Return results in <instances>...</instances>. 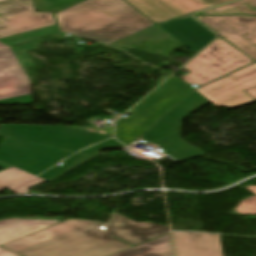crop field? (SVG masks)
I'll use <instances>...</instances> for the list:
<instances>
[{
    "label": "crop field",
    "instance_id": "d1516ede",
    "mask_svg": "<svg viewBox=\"0 0 256 256\" xmlns=\"http://www.w3.org/2000/svg\"><path fill=\"white\" fill-rule=\"evenodd\" d=\"M158 26L195 54L215 38V34L189 16Z\"/></svg>",
    "mask_w": 256,
    "mask_h": 256
},
{
    "label": "crop field",
    "instance_id": "214f88e0",
    "mask_svg": "<svg viewBox=\"0 0 256 256\" xmlns=\"http://www.w3.org/2000/svg\"><path fill=\"white\" fill-rule=\"evenodd\" d=\"M58 32H59L58 27L55 26V27H51V28H47V29H43V30H39V31H35V32L7 38V39H3L0 41L11 46V45L31 41V40L41 39V37H43V36H47V35L58 33Z\"/></svg>",
    "mask_w": 256,
    "mask_h": 256
},
{
    "label": "crop field",
    "instance_id": "f4fd0767",
    "mask_svg": "<svg viewBox=\"0 0 256 256\" xmlns=\"http://www.w3.org/2000/svg\"><path fill=\"white\" fill-rule=\"evenodd\" d=\"M210 103L197 92H192L172 111L149 128L141 140L160 147L171 158L182 162L191 158L204 155L188 143L180 139L179 130L181 119L199 108Z\"/></svg>",
    "mask_w": 256,
    "mask_h": 256
},
{
    "label": "crop field",
    "instance_id": "ac0d7876",
    "mask_svg": "<svg viewBox=\"0 0 256 256\" xmlns=\"http://www.w3.org/2000/svg\"><path fill=\"white\" fill-rule=\"evenodd\" d=\"M0 160L38 175L73 153L110 137L70 126L0 125Z\"/></svg>",
    "mask_w": 256,
    "mask_h": 256
},
{
    "label": "crop field",
    "instance_id": "3316defc",
    "mask_svg": "<svg viewBox=\"0 0 256 256\" xmlns=\"http://www.w3.org/2000/svg\"><path fill=\"white\" fill-rule=\"evenodd\" d=\"M0 104H32L30 81L11 48L0 51Z\"/></svg>",
    "mask_w": 256,
    "mask_h": 256
},
{
    "label": "crop field",
    "instance_id": "4a817a6b",
    "mask_svg": "<svg viewBox=\"0 0 256 256\" xmlns=\"http://www.w3.org/2000/svg\"><path fill=\"white\" fill-rule=\"evenodd\" d=\"M91 157L83 156L75 154L68 159L60 162L63 165L60 167L54 166L51 169L47 170L43 174L39 175L38 177L51 182L56 178L62 176L63 174L67 173L68 171L72 170L73 168L77 167L78 165L84 163L85 161L89 160Z\"/></svg>",
    "mask_w": 256,
    "mask_h": 256
},
{
    "label": "crop field",
    "instance_id": "a9b5d70f",
    "mask_svg": "<svg viewBox=\"0 0 256 256\" xmlns=\"http://www.w3.org/2000/svg\"><path fill=\"white\" fill-rule=\"evenodd\" d=\"M103 147H124L122 144H120L119 142H117L115 139H109L107 141H104L102 143H99L97 145H94L90 148H87L81 152L78 153H82V154H86V155H94L99 149L103 148Z\"/></svg>",
    "mask_w": 256,
    "mask_h": 256
},
{
    "label": "crop field",
    "instance_id": "34b2d1b8",
    "mask_svg": "<svg viewBox=\"0 0 256 256\" xmlns=\"http://www.w3.org/2000/svg\"><path fill=\"white\" fill-rule=\"evenodd\" d=\"M55 16L61 33L107 45L154 25L122 0H85Z\"/></svg>",
    "mask_w": 256,
    "mask_h": 256
},
{
    "label": "crop field",
    "instance_id": "4177f3b9",
    "mask_svg": "<svg viewBox=\"0 0 256 256\" xmlns=\"http://www.w3.org/2000/svg\"><path fill=\"white\" fill-rule=\"evenodd\" d=\"M45 181L35 177L31 180H28L26 182L20 183L18 185H15L13 187L8 188L9 190L15 192L16 194H22V193H28L27 187L29 186H36L40 183H43Z\"/></svg>",
    "mask_w": 256,
    "mask_h": 256
},
{
    "label": "crop field",
    "instance_id": "bc2a9ffb",
    "mask_svg": "<svg viewBox=\"0 0 256 256\" xmlns=\"http://www.w3.org/2000/svg\"><path fill=\"white\" fill-rule=\"evenodd\" d=\"M0 168L4 169L0 171V190L8 186L24 181L26 179L34 177L31 174L23 172L9 164L0 161Z\"/></svg>",
    "mask_w": 256,
    "mask_h": 256
},
{
    "label": "crop field",
    "instance_id": "412701ff",
    "mask_svg": "<svg viewBox=\"0 0 256 256\" xmlns=\"http://www.w3.org/2000/svg\"><path fill=\"white\" fill-rule=\"evenodd\" d=\"M192 90L173 75L135 106L128 118L117 120L115 138L128 145Z\"/></svg>",
    "mask_w": 256,
    "mask_h": 256
},
{
    "label": "crop field",
    "instance_id": "8a807250",
    "mask_svg": "<svg viewBox=\"0 0 256 256\" xmlns=\"http://www.w3.org/2000/svg\"><path fill=\"white\" fill-rule=\"evenodd\" d=\"M70 219L61 224L2 245L23 256H109L154 237L169 233L167 227L134 222L117 213L110 224ZM163 236V235H162Z\"/></svg>",
    "mask_w": 256,
    "mask_h": 256
},
{
    "label": "crop field",
    "instance_id": "5a996713",
    "mask_svg": "<svg viewBox=\"0 0 256 256\" xmlns=\"http://www.w3.org/2000/svg\"><path fill=\"white\" fill-rule=\"evenodd\" d=\"M195 18L256 60V17L230 15Z\"/></svg>",
    "mask_w": 256,
    "mask_h": 256
},
{
    "label": "crop field",
    "instance_id": "dd49c442",
    "mask_svg": "<svg viewBox=\"0 0 256 256\" xmlns=\"http://www.w3.org/2000/svg\"><path fill=\"white\" fill-rule=\"evenodd\" d=\"M251 61L247 56L219 38L183 66L191 72L182 79L189 84L196 83L201 86Z\"/></svg>",
    "mask_w": 256,
    "mask_h": 256
},
{
    "label": "crop field",
    "instance_id": "92a150f3",
    "mask_svg": "<svg viewBox=\"0 0 256 256\" xmlns=\"http://www.w3.org/2000/svg\"><path fill=\"white\" fill-rule=\"evenodd\" d=\"M42 41H33L16 47H12L17 59L19 60L22 68L34 66L26 51L34 49L36 44H40Z\"/></svg>",
    "mask_w": 256,
    "mask_h": 256
},
{
    "label": "crop field",
    "instance_id": "00972430",
    "mask_svg": "<svg viewBox=\"0 0 256 256\" xmlns=\"http://www.w3.org/2000/svg\"><path fill=\"white\" fill-rule=\"evenodd\" d=\"M247 189L256 194V186H246ZM234 212L256 215V196L244 199Z\"/></svg>",
    "mask_w": 256,
    "mask_h": 256
},
{
    "label": "crop field",
    "instance_id": "733c2abd",
    "mask_svg": "<svg viewBox=\"0 0 256 256\" xmlns=\"http://www.w3.org/2000/svg\"><path fill=\"white\" fill-rule=\"evenodd\" d=\"M166 36H169L167 33H165L163 30H161L157 25H154L150 28H147L145 30H142L138 33H135L133 35H130L110 46H114L121 49H126L136 43H139L147 38H151L155 41H158Z\"/></svg>",
    "mask_w": 256,
    "mask_h": 256
},
{
    "label": "crop field",
    "instance_id": "e52e79f7",
    "mask_svg": "<svg viewBox=\"0 0 256 256\" xmlns=\"http://www.w3.org/2000/svg\"><path fill=\"white\" fill-rule=\"evenodd\" d=\"M256 86V62L224 76L199 91L217 106L230 109L255 101L243 90Z\"/></svg>",
    "mask_w": 256,
    "mask_h": 256
},
{
    "label": "crop field",
    "instance_id": "28ad6ade",
    "mask_svg": "<svg viewBox=\"0 0 256 256\" xmlns=\"http://www.w3.org/2000/svg\"><path fill=\"white\" fill-rule=\"evenodd\" d=\"M154 22L172 18L232 0H126Z\"/></svg>",
    "mask_w": 256,
    "mask_h": 256
},
{
    "label": "crop field",
    "instance_id": "5142ce71",
    "mask_svg": "<svg viewBox=\"0 0 256 256\" xmlns=\"http://www.w3.org/2000/svg\"><path fill=\"white\" fill-rule=\"evenodd\" d=\"M111 256H172L169 235Z\"/></svg>",
    "mask_w": 256,
    "mask_h": 256
},
{
    "label": "crop field",
    "instance_id": "ae1a2a85",
    "mask_svg": "<svg viewBox=\"0 0 256 256\" xmlns=\"http://www.w3.org/2000/svg\"><path fill=\"white\" fill-rule=\"evenodd\" d=\"M1 1H5V0H0V2H1Z\"/></svg>",
    "mask_w": 256,
    "mask_h": 256
},
{
    "label": "crop field",
    "instance_id": "eef30255",
    "mask_svg": "<svg viewBox=\"0 0 256 256\" xmlns=\"http://www.w3.org/2000/svg\"><path fill=\"white\" fill-rule=\"evenodd\" d=\"M5 47H8V46H6V45L0 43V49H1V48H5Z\"/></svg>",
    "mask_w": 256,
    "mask_h": 256
},
{
    "label": "crop field",
    "instance_id": "cbeb9de0",
    "mask_svg": "<svg viewBox=\"0 0 256 256\" xmlns=\"http://www.w3.org/2000/svg\"><path fill=\"white\" fill-rule=\"evenodd\" d=\"M177 256H222L218 235L173 232Z\"/></svg>",
    "mask_w": 256,
    "mask_h": 256
},
{
    "label": "crop field",
    "instance_id": "730fd06b",
    "mask_svg": "<svg viewBox=\"0 0 256 256\" xmlns=\"http://www.w3.org/2000/svg\"><path fill=\"white\" fill-rule=\"evenodd\" d=\"M250 96H252L254 99H256V87L245 90Z\"/></svg>",
    "mask_w": 256,
    "mask_h": 256
},
{
    "label": "crop field",
    "instance_id": "dafd665d",
    "mask_svg": "<svg viewBox=\"0 0 256 256\" xmlns=\"http://www.w3.org/2000/svg\"><path fill=\"white\" fill-rule=\"evenodd\" d=\"M81 0H36L38 11H58Z\"/></svg>",
    "mask_w": 256,
    "mask_h": 256
},
{
    "label": "crop field",
    "instance_id": "d9b57169",
    "mask_svg": "<svg viewBox=\"0 0 256 256\" xmlns=\"http://www.w3.org/2000/svg\"><path fill=\"white\" fill-rule=\"evenodd\" d=\"M210 14H250L256 15V0H238L210 10H206L196 15Z\"/></svg>",
    "mask_w": 256,
    "mask_h": 256
},
{
    "label": "crop field",
    "instance_id": "d8731c3e",
    "mask_svg": "<svg viewBox=\"0 0 256 256\" xmlns=\"http://www.w3.org/2000/svg\"><path fill=\"white\" fill-rule=\"evenodd\" d=\"M52 13H37L33 0L0 4V38L55 25Z\"/></svg>",
    "mask_w": 256,
    "mask_h": 256
},
{
    "label": "crop field",
    "instance_id": "22f410ed",
    "mask_svg": "<svg viewBox=\"0 0 256 256\" xmlns=\"http://www.w3.org/2000/svg\"><path fill=\"white\" fill-rule=\"evenodd\" d=\"M63 222L61 219L12 217L0 220V245ZM0 256H20L0 246Z\"/></svg>",
    "mask_w": 256,
    "mask_h": 256
}]
</instances>
